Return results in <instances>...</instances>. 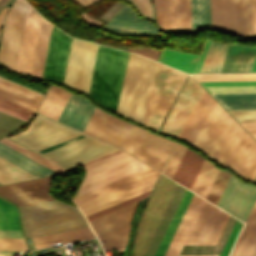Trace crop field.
Returning a JSON list of instances; mask_svg holds the SVG:
<instances>
[{
	"mask_svg": "<svg viewBox=\"0 0 256 256\" xmlns=\"http://www.w3.org/2000/svg\"><path fill=\"white\" fill-rule=\"evenodd\" d=\"M97 47L73 38L63 83L88 93Z\"/></svg>",
	"mask_w": 256,
	"mask_h": 256,
	"instance_id": "22f410ed",
	"label": "crop field"
},
{
	"mask_svg": "<svg viewBox=\"0 0 256 256\" xmlns=\"http://www.w3.org/2000/svg\"><path fill=\"white\" fill-rule=\"evenodd\" d=\"M205 200L193 195L171 242L184 243ZM170 243L164 256H178L183 244Z\"/></svg>",
	"mask_w": 256,
	"mask_h": 256,
	"instance_id": "4177f3b9",
	"label": "crop field"
},
{
	"mask_svg": "<svg viewBox=\"0 0 256 256\" xmlns=\"http://www.w3.org/2000/svg\"><path fill=\"white\" fill-rule=\"evenodd\" d=\"M254 37H256V0H253Z\"/></svg>",
	"mask_w": 256,
	"mask_h": 256,
	"instance_id": "1f2cbd36",
	"label": "crop field"
},
{
	"mask_svg": "<svg viewBox=\"0 0 256 256\" xmlns=\"http://www.w3.org/2000/svg\"><path fill=\"white\" fill-rule=\"evenodd\" d=\"M150 191H151V190H150ZM150 191L145 192V193H143V194H141V195H138V196H136V197H133V198H131V199H128V200H126V201H123V202H121V203H119V204H116V205H114V206H111V207H109V208H106V209H104V210H101V211H99V212H97V213H94V214H92V215H89V216H87V219H88V221H90V220H92V219H94V218H97V217H99V216H101V215H104V214H106V213H108V212H111V211H113V210H115V209H117V208H120V207H122V206H124V205H127V204H129V203H131V202H134V201H136V200H138V199H141V198H143V197L149 195ZM138 201H139V200H138Z\"/></svg>",
	"mask_w": 256,
	"mask_h": 256,
	"instance_id": "5d738f31",
	"label": "crop field"
},
{
	"mask_svg": "<svg viewBox=\"0 0 256 256\" xmlns=\"http://www.w3.org/2000/svg\"><path fill=\"white\" fill-rule=\"evenodd\" d=\"M154 64L130 53L118 113L141 123Z\"/></svg>",
	"mask_w": 256,
	"mask_h": 256,
	"instance_id": "d8731c3e",
	"label": "crop field"
},
{
	"mask_svg": "<svg viewBox=\"0 0 256 256\" xmlns=\"http://www.w3.org/2000/svg\"><path fill=\"white\" fill-rule=\"evenodd\" d=\"M128 55V52L98 47L89 94L114 111L117 110Z\"/></svg>",
	"mask_w": 256,
	"mask_h": 256,
	"instance_id": "412701ff",
	"label": "crop field"
},
{
	"mask_svg": "<svg viewBox=\"0 0 256 256\" xmlns=\"http://www.w3.org/2000/svg\"><path fill=\"white\" fill-rule=\"evenodd\" d=\"M14 252H0V256H12Z\"/></svg>",
	"mask_w": 256,
	"mask_h": 256,
	"instance_id": "1d79db26",
	"label": "crop field"
},
{
	"mask_svg": "<svg viewBox=\"0 0 256 256\" xmlns=\"http://www.w3.org/2000/svg\"><path fill=\"white\" fill-rule=\"evenodd\" d=\"M211 29L253 37L252 0H210Z\"/></svg>",
	"mask_w": 256,
	"mask_h": 256,
	"instance_id": "28ad6ade",
	"label": "crop field"
},
{
	"mask_svg": "<svg viewBox=\"0 0 256 256\" xmlns=\"http://www.w3.org/2000/svg\"><path fill=\"white\" fill-rule=\"evenodd\" d=\"M204 159L186 149L172 179L191 189Z\"/></svg>",
	"mask_w": 256,
	"mask_h": 256,
	"instance_id": "750c4746",
	"label": "crop field"
},
{
	"mask_svg": "<svg viewBox=\"0 0 256 256\" xmlns=\"http://www.w3.org/2000/svg\"><path fill=\"white\" fill-rule=\"evenodd\" d=\"M209 93L256 92V86L204 87Z\"/></svg>",
	"mask_w": 256,
	"mask_h": 256,
	"instance_id": "b54c1fbb",
	"label": "crop field"
},
{
	"mask_svg": "<svg viewBox=\"0 0 256 256\" xmlns=\"http://www.w3.org/2000/svg\"><path fill=\"white\" fill-rule=\"evenodd\" d=\"M28 4L17 0L11 7L4 26L0 62L15 69Z\"/></svg>",
	"mask_w": 256,
	"mask_h": 256,
	"instance_id": "cbeb9de0",
	"label": "crop field"
},
{
	"mask_svg": "<svg viewBox=\"0 0 256 256\" xmlns=\"http://www.w3.org/2000/svg\"><path fill=\"white\" fill-rule=\"evenodd\" d=\"M72 38L55 27L52 28L46 62L42 78L63 81Z\"/></svg>",
	"mask_w": 256,
	"mask_h": 256,
	"instance_id": "214f88e0",
	"label": "crop field"
},
{
	"mask_svg": "<svg viewBox=\"0 0 256 256\" xmlns=\"http://www.w3.org/2000/svg\"><path fill=\"white\" fill-rule=\"evenodd\" d=\"M0 156L38 177L56 174V172L48 169L47 167L39 164L38 162L28 158L27 156L19 153L18 151L8 147L1 142Z\"/></svg>",
	"mask_w": 256,
	"mask_h": 256,
	"instance_id": "1d83c4d3",
	"label": "crop field"
},
{
	"mask_svg": "<svg viewBox=\"0 0 256 256\" xmlns=\"http://www.w3.org/2000/svg\"><path fill=\"white\" fill-rule=\"evenodd\" d=\"M209 41L206 39L201 56L162 49L157 61L188 73H199Z\"/></svg>",
	"mask_w": 256,
	"mask_h": 256,
	"instance_id": "eef30255",
	"label": "crop field"
},
{
	"mask_svg": "<svg viewBox=\"0 0 256 256\" xmlns=\"http://www.w3.org/2000/svg\"><path fill=\"white\" fill-rule=\"evenodd\" d=\"M138 201L90 221L100 241H105L104 251L124 248L127 245L132 215Z\"/></svg>",
	"mask_w": 256,
	"mask_h": 256,
	"instance_id": "d1516ede",
	"label": "crop field"
},
{
	"mask_svg": "<svg viewBox=\"0 0 256 256\" xmlns=\"http://www.w3.org/2000/svg\"><path fill=\"white\" fill-rule=\"evenodd\" d=\"M153 5L161 29L191 30L190 0H153Z\"/></svg>",
	"mask_w": 256,
	"mask_h": 256,
	"instance_id": "4a817a6b",
	"label": "crop field"
},
{
	"mask_svg": "<svg viewBox=\"0 0 256 256\" xmlns=\"http://www.w3.org/2000/svg\"><path fill=\"white\" fill-rule=\"evenodd\" d=\"M52 25L41 20L34 59L30 75L41 78Z\"/></svg>",
	"mask_w": 256,
	"mask_h": 256,
	"instance_id": "120bbe31",
	"label": "crop field"
},
{
	"mask_svg": "<svg viewBox=\"0 0 256 256\" xmlns=\"http://www.w3.org/2000/svg\"><path fill=\"white\" fill-rule=\"evenodd\" d=\"M202 90L197 82L188 76L160 131L178 137Z\"/></svg>",
	"mask_w": 256,
	"mask_h": 256,
	"instance_id": "d9b57169",
	"label": "crop field"
},
{
	"mask_svg": "<svg viewBox=\"0 0 256 256\" xmlns=\"http://www.w3.org/2000/svg\"><path fill=\"white\" fill-rule=\"evenodd\" d=\"M256 138V134H252Z\"/></svg>",
	"mask_w": 256,
	"mask_h": 256,
	"instance_id": "447ae74e",
	"label": "crop field"
},
{
	"mask_svg": "<svg viewBox=\"0 0 256 256\" xmlns=\"http://www.w3.org/2000/svg\"><path fill=\"white\" fill-rule=\"evenodd\" d=\"M81 166L86 176L75 197L148 168L120 150Z\"/></svg>",
	"mask_w": 256,
	"mask_h": 256,
	"instance_id": "5a996713",
	"label": "crop field"
},
{
	"mask_svg": "<svg viewBox=\"0 0 256 256\" xmlns=\"http://www.w3.org/2000/svg\"><path fill=\"white\" fill-rule=\"evenodd\" d=\"M202 86L256 85V81L199 82Z\"/></svg>",
	"mask_w": 256,
	"mask_h": 256,
	"instance_id": "73cf0c24",
	"label": "crop field"
},
{
	"mask_svg": "<svg viewBox=\"0 0 256 256\" xmlns=\"http://www.w3.org/2000/svg\"><path fill=\"white\" fill-rule=\"evenodd\" d=\"M104 28L117 33L161 35L153 24L138 18L128 5L116 13Z\"/></svg>",
	"mask_w": 256,
	"mask_h": 256,
	"instance_id": "00972430",
	"label": "crop field"
},
{
	"mask_svg": "<svg viewBox=\"0 0 256 256\" xmlns=\"http://www.w3.org/2000/svg\"><path fill=\"white\" fill-rule=\"evenodd\" d=\"M7 9H8V8L4 7V8L2 9V11L0 12V25H1V23H2V20H3V18H4V15H5Z\"/></svg>",
	"mask_w": 256,
	"mask_h": 256,
	"instance_id": "0fb4a251",
	"label": "crop field"
},
{
	"mask_svg": "<svg viewBox=\"0 0 256 256\" xmlns=\"http://www.w3.org/2000/svg\"><path fill=\"white\" fill-rule=\"evenodd\" d=\"M239 122H256V110H228Z\"/></svg>",
	"mask_w": 256,
	"mask_h": 256,
	"instance_id": "425ffa30",
	"label": "crop field"
},
{
	"mask_svg": "<svg viewBox=\"0 0 256 256\" xmlns=\"http://www.w3.org/2000/svg\"><path fill=\"white\" fill-rule=\"evenodd\" d=\"M77 131L39 114L28 128L11 139L34 150ZM118 149L80 132L34 150L58 165L70 169Z\"/></svg>",
	"mask_w": 256,
	"mask_h": 256,
	"instance_id": "8a807250",
	"label": "crop field"
},
{
	"mask_svg": "<svg viewBox=\"0 0 256 256\" xmlns=\"http://www.w3.org/2000/svg\"><path fill=\"white\" fill-rule=\"evenodd\" d=\"M90 120L136 140L164 158H167L174 144V142L170 140L129 124L97 108L95 109ZM91 121L89 122L85 133L115 145L147 163L148 165L154 167L155 169L159 171L161 170L166 159L162 158L136 141Z\"/></svg>",
	"mask_w": 256,
	"mask_h": 256,
	"instance_id": "34b2d1b8",
	"label": "crop field"
},
{
	"mask_svg": "<svg viewBox=\"0 0 256 256\" xmlns=\"http://www.w3.org/2000/svg\"><path fill=\"white\" fill-rule=\"evenodd\" d=\"M255 198L256 187L231 176L216 206L244 221Z\"/></svg>",
	"mask_w": 256,
	"mask_h": 256,
	"instance_id": "733c2abd",
	"label": "crop field"
},
{
	"mask_svg": "<svg viewBox=\"0 0 256 256\" xmlns=\"http://www.w3.org/2000/svg\"><path fill=\"white\" fill-rule=\"evenodd\" d=\"M256 54V47H243L230 44L221 72H249Z\"/></svg>",
	"mask_w": 256,
	"mask_h": 256,
	"instance_id": "d3111659",
	"label": "crop field"
},
{
	"mask_svg": "<svg viewBox=\"0 0 256 256\" xmlns=\"http://www.w3.org/2000/svg\"><path fill=\"white\" fill-rule=\"evenodd\" d=\"M188 74L156 63L142 123L159 130Z\"/></svg>",
	"mask_w": 256,
	"mask_h": 256,
	"instance_id": "e52e79f7",
	"label": "crop field"
},
{
	"mask_svg": "<svg viewBox=\"0 0 256 256\" xmlns=\"http://www.w3.org/2000/svg\"><path fill=\"white\" fill-rule=\"evenodd\" d=\"M197 81L256 80V74L193 75Z\"/></svg>",
	"mask_w": 256,
	"mask_h": 256,
	"instance_id": "c035e120",
	"label": "crop field"
},
{
	"mask_svg": "<svg viewBox=\"0 0 256 256\" xmlns=\"http://www.w3.org/2000/svg\"><path fill=\"white\" fill-rule=\"evenodd\" d=\"M242 225H243V223L236 221L220 256H228Z\"/></svg>",
	"mask_w": 256,
	"mask_h": 256,
	"instance_id": "d23c7cc5",
	"label": "crop field"
},
{
	"mask_svg": "<svg viewBox=\"0 0 256 256\" xmlns=\"http://www.w3.org/2000/svg\"><path fill=\"white\" fill-rule=\"evenodd\" d=\"M192 195H193V193L189 192L188 190H185L154 256H163V254L169 244V241H170Z\"/></svg>",
	"mask_w": 256,
	"mask_h": 256,
	"instance_id": "d32e631a",
	"label": "crop field"
},
{
	"mask_svg": "<svg viewBox=\"0 0 256 256\" xmlns=\"http://www.w3.org/2000/svg\"><path fill=\"white\" fill-rule=\"evenodd\" d=\"M51 177L0 186V194L19 206L52 200L48 194Z\"/></svg>",
	"mask_w": 256,
	"mask_h": 256,
	"instance_id": "bc2a9ffb",
	"label": "crop field"
},
{
	"mask_svg": "<svg viewBox=\"0 0 256 256\" xmlns=\"http://www.w3.org/2000/svg\"><path fill=\"white\" fill-rule=\"evenodd\" d=\"M0 238H23L16 208L0 199ZM23 239H0V250H26Z\"/></svg>",
	"mask_w": 256,
	"mask_h": 256,
	"instance_id": "92a150f3",
	"label": "crop field"
},
{
	"mask_svg": "<svg viewBox=\"0 0 256 256\" xmlns=\"http://www.w3.org/2000/svg\"><path fill=\"white\" fill-rule=\"evenodd\" d=\"M136 7L140 10L142 15L153 18V8L151 4V0H132Z\"/></svg>",
	"mask_w": 256,
	"mask_h": 256,
	"instance_id": "25e5ab78",
	"label": "crop field"
},
{
	"mask_svg": "<svg viewBox=\"0 0 256 256\" xmlns=\"http://www.w3.org/2000/svg\"><path fill=\"white\" fill-rule=\"evenodd\" d=\"M0 111L26 121L35 111L0 98Z\"/></svg>",
	"mask_w": 256,
	"mask_h": 256,
	"instance_id": "b80d0937",
	"label": "crop field"
},
{
	"mask_svg": "<svg viewBox=\"0 0 256 256\" xmlns=\"http://www.w3.org/2000/svg\"><path fill=\"white\" fill-rule=\"evenodd\" d=\"M214 102L215 101L203 90L192 114L181 131L179 138L186 140L193 145Z\"/></svg>",
	"mask_w": 256,
	"mask_h": 256,
	"instance_id": "730fd06b",
	"label": "crop field"
},
{
	"mask_svg": "<svg viewBox=\"0 0 256 256\" xmlns=\"http://www.w3.org/2000/svg\"><path fill=\"white\" fill-rule=\"evenodd\" d=\"M177 186L160 176L137 227L131 256H144Z\"/></svg>",
	"mask_w": 256,
	"mask_h": 256,
	"instance_id": "3316defc",
	"label": "crop field"
},
{
	"mask_svg": "<svg viewBox=\"0 0 256 256\" xmlns=\"http://www.w3.org/2000/svg\"><path fill=\"white\" fill-rule=\"evenodd\" d=\"M159 173L148 168L75 198L85 216L152 189Z\"/></svg>",
	"mask_w": 256,
	"mask_h": 256,
	"instance_id": "dd49c442",
	"label": "crop field"
},
{
	"mask_svg": "<svg viewBox=\"0 0 256 256\" xmlns=\"http://www.w3.org/2000/svg\"><path fill=\"white\" fill-rule=\"evenodd\" d=\"M211 95L226 109H256V93Z\"/></svg>",
	"mask_w": 256,
	"mask_h": 256,
	"instance_id": "5866460e",
	"label": "crop field"
},
{
	"mask_svg": "<svg viewBox=\"0 0 256 256\" xmlns=\"http://www.w3.org/2000/svg\"><path fill=\"white\" fill-rule=\"evenodd\" d=\"M229 174L225 173V172H221L219 171L207 197L206 200L210 201L213 204H216L228 178H229Z\"/></svg>",
	"mask_w": 256,
	"mask_h": 256,
	"instance_id": "c21b1889",
	"label": "crop field"
},
{
	"mask_svg": "<svg viewBox=\"0 0 256 256\" xmlns=\"http://www.w3.org/2000/svg\"><path fill=\"white\" fill-rule=\"evenodd\" d=\"M250 133H256V123H241Z\"/></svg>",
	"mask_w": 256,
	"mask_h": 256,
	"instance_id": "89e229c0",
	"label": "crop field"
},
{
	"mask_svg": "<svg viewBox=\"0 0 256 256\" xmlns=\"http://www.w3.org/2000/svg\"><path fill=\"white\" fill-rule=\"evenodd\" d=\"M256 182V181H255Z\"/></svg>",
	"mask_w": 256,
	"mask_h": 256,
	"instance_id": "0765c3eb",
	"label": "crop field"
},
{
	"mask_svg": "<svg viewBox=\"0 0 256 256\" xmlns=\"http://www.w3.org/2000/svg\"><path fill=\"white\" fill-rule=\"evenodd\" d=\"M192 30L210 29L209 0H191Z\"/></svg>",
	"mask_w": 256,
	"mask_h": 256,
	"instance_id": "e1f06a70",
	"label": "crop field"
},
{
	"mask_svg": "<svg viewBox=\"0 0 256 256\" xmlns=\"http://www.w3.org/2000/svg\"><path fill=\"white\" fill-rule=\"evenodd\" d=\"M176 145V144H175ZM175 147V146H174ZM174 149V148H173ZM186 147L180 145L177 143L164 171H163V174L169 176V177H172L184 151H185Z\"/></svg>",
	"mask_w": 256,
	"mask_h": 256,
	"instance_id": "03da06ac",
	"label": "crop field"
},
{
	"mask_svg": "<svg viewBox=\"0 0 256 256\" xmlns=\"http://www.w3.org/2000/svg\"><path fill=\"white\" fill-rule=\"evenodd\" d=\"M0 97L36 111L43 95L0 77Z\"/></svg>",
	"mask_w": 256,
	"mask_h": 256,
	"instance_id": "ae1a2a85",
	"label": "crop field"
},
{
	"mask_svg": "<svg viewBox=\"0 0 256 256\" xmlns=\"http://www.w3.org/2000/svg\"><path fill=\"white\" fill-rule=\"evenodd\" d=\"M36 178V176L0 157V183Z\"/></svg>",
	"mask_w": 256,
	"mask_h": 256,
	"instance_id": "0bd39190",
	"label": "crop field"
},
{
	"mask_svg": "<svg viewBox=\"0 0 256 256\" xmlns=\"http://www.w3.org/2000/svg\"><path fill=\"white\" fill-rule=\"evenodd\" d=\"M230 256H256V202Z\"/></svg>",
	"mask_w": 256,
	"mask_h": 256,
	"instance_id": "bd1437ed",
	"label": "crop field"
},
{
	"mask_svg": "<svg viewBox=\"0 0 256 256\" xmlns=\"http://www.w3.org/2000/svg\"><path fill=\"white\" fill-rule=\"evenodd\" d=\"M77 3H79L80 5H82L83 7L88 6L94 2H96L97 0H75Z\"/></svg>",
	"mask_w": 256,
	"mask_h": 256,
	"instance_id": "dbb93151",
	"label": "crop field"
},
{
	"mask_svg": "<svg viewBox=\"0 0 256 256\" xmlns=\"http://www.w3.org/2000/svg\"><path fill=\"white\" fill-rule=\"evenodd\" d=\"M41 17L29 6L21 40L16 72L29 75Z\"/></svg>",
	"mask_w": 256,
	"mask_h": 256,
	"instance_id": "dafd665d",
	"label": "crop field"
},
{
	"mask_svg": "<svg viewBox=\"0 0 256 256\" xmlns=\"http://www.w3.org/2000/svg\"><path fill=\"white\" fill-rule=\"evenodd\" d=\"M228 45L210 41L200 73H219Z\"/></svg>",
	"mask_w": 256,
	"mask_h": 256,
	"instance_id": "028f5c9d",
	"label": "crop field"
},
{
	"mask_svg": "<svg viewBox=\"0 0 256 256\" xmlns=\"http://www.w3.org/2000/svg\"><path fill=\"white\" fill-rule=\"evenodd\" d=\"M229 216L205 202L185 245H215Z\"/></svg>",
	"mask_w": 256,
	"mask_h": 256,
	"instance_id": "5142ce71",
	"label": "crop field"
},
{
	"mask_svg": "<svg viewBox=\"0 0 256 256\" xmlns=\"http://www.w3.org/2000/svg\"><path fill=\"white\" fill-rule=\"evenodd\" d=\"M27 236L86 225L77 209L56 200L20 207ZM69 229L39 236H45Z\"/></svg>",
	"mask_w": 256,
	"mask_h": 256,
	"instance_id": "f4fd0767",
	"label": "crop field"
},
{
	"mask_svg": "<svg viewBox=\"0 0 256 256\" xmlns=\"http://www.w3.org/2000/svg\"><path fill=\"white\" fill-rule=\"evenodd\" d=\"M250 72H256V57H255V60L253 62V65H252V68H251Z\"/></svg>",
	"mask_w": 256,
	"mask_h": 256,
	"instance_id": "9d1cf04e",
	"label": "crop field"
},
{
	"mask_svg": "<svg viewBox=\"0 0 256 256\" xmlns=\"http://www.w3.org/2000/svg\"><path fill=\"white\" fill-rule=\"evenodd\" d=\"M215 104L194 146L221 165L234 168L243 179L253 181L256 175V141Z\"/></svg>",
	"mask_w": 256,
	"mask_h": 256,
	"instance_id": "ac0d7876",
	"label": "crop field"
},
{
	"mask_svg": "<svg viewBox=\"0 0 256 256\" xmlns=\"http://www.w3.org/2000/svg\"><path fill=\"white\" fill-rule=\"evenodd\" d=\"M94 109L85 98L71 94L58 121L83 132Z\"/></svg>",
	"mask_w": 256,
	"mask_h": 256,
	"instance_id": "a9b5d70f",
	"label": "crop field"
}]
</instances>
